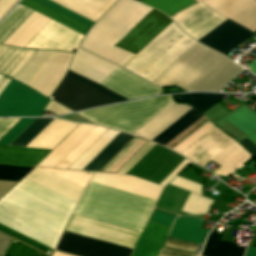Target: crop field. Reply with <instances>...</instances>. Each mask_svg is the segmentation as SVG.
<instances>
[{
	"instance_id": "42",
	"label": "crop field",
	"mask_w": 256,
	"mask_h": 256,
	"mask_svg": "<svg viewBox=\"0 0 256 256\" xmlns=\"http://www.w3.org/2000/svg\"><path fill=\"white\" fill-rule=\"evenodd\" d=\"M5 256H47V255L13 239Z\"/></svg>"
},
{
	"instance_id": "11",
	"label": "crop field",
	"mask_w": 256,
	"mask_h": 256,
	"mask_svg": "<svg viewBox=\"0 0 256 256\" xmlns=\"http://www.w3.org/2000/svg\"><path fill=\"white\" fill-rule=\"evenodd\" d=\"M83 35L49 20L24 48L74 51Z\"/></svg>"
},
{
	"instance_id": "48",
	"label": "crop field",
	"mask_w": 256,
	"mask_h": 256,
	"mask_svg": "<svg viewBox=\"0 0 256 256\" xmlns=\"http://www.w3.org/2000/svg\"><path fill=\"white\" fill-rule=\"evenodd\" d=\"M170 185L180 187V188H183V189H186V190H189V191H192V192H195V193L201 195V193H200L201 187H202L201 185L187 181L178 176L170 183Z\"/></svg>"
},
{
	"instance_id": "41",
	"label": "crop field",
	"mask_w": 256,
	"mask_h": 256,
	"mask_svg": "<svg viewBox=\"0 0 256 256\" xmlns=\"http://www.w3.org/2000/svg\"><path fill=\"white\" fill-rule=\"evenodd\" d=\"M33 168L0 165V179L19 181Z\"/></svg>"
},
{
	"instance_id": "2",
	"label": "crop field",
	"mask_w": 256,
	"mask_h": 256,
	"mask_svg": "<svg viewBox=\"0 0 256 256\" xmlns=\"http://www.w3.org/2000/svg\"><path fill=\"white\" fill-rule=\"evenodd\" d=\"M75 205L24 178L0 200V224L53 249Z\"/></svg>"
},
{
	"instance_id": "30",
	"label": "crop field",
	"mask_w": 256,
	"mask_h": 256,
	"mask_svg": "<svg viewBox=\"0 0 256 256\" xmlns=\"http://www.w3.org/2000/svg\"><path fill=\"white\" fill-rule=\"evenodd\" d=\"M202 116L199 111L193 108L152 141L164 146Z\"/></svg>"
},
{
	"instance_id": "8",
	"label": "crop field",
	"mask_w": 256,
	"mask_h": 256,
	"mask_svg": "<svg viewBox=\"0 0 256 256\" xmlns=\"http://www.w3.org/2000/svg\"><path fill=\"white\" fill-rule=\"evenodd\" d=\"M27 87L10 80L0 94V116L40 115L49 99Z\"/></svg>"
},
{
	"instance_id": "51",
	"label": "crop field",
	"mask_w": 256,
	"mask_h": 256,
	"mask_svg": "<svg viewBox=\"0 0 256 256\" xmlns=\"http://www.w3.org/2000/svg\"><path fill=\"white\" fill-rule=\"evenodd\" d=\"M46 110L55 112L56 115L70 112L66 108L56 104L55 102H53L51 100H50L49 104L47 105Z\"/></svg>"
},
{
	"instance_id": "17",
	"label": "crop field",
	"mask_w": 256,
	"mask_h": 256,
	"mask_svg": "<svg viewBox=\"0 0 256 256\" xmlns=\"http://www.w3.org/2000/svg\"><path fill=\"white\" fill-rule=\"evenodd\" d=\"M203 3L251 31L256 30V0H206Z\"/></svg>"
},
{
	"instance_id": "22",
	"label": "crop field",
	"mask_w": 256,
	"mask_h": 256,
	"mask_svg": "<svg viewBox=\"0 0 256 256\" xmlns=\"http://www.w3.org/2000/svg\"><path fill=\"white\" fill-rule=\"evenodd\" d=\"M94 127L80 124L37 166L54 168Z\"/></svg>"
},
{
	"instance_id": "7",
	"label": "crop field",
	"mask_w": 256,
	"mask_h": 256,
	"mask_svg": "<svg viewBox=\"0 0 256 256\" xmlns=\"http://www.w3.org/2000/svg\"><path fill=\"white\" fill-rule=\"evenodd\" d=\"M99 85L68 71L52 100L73 111L126 100Z\"/></svg>"
},
{
	"instance_id": "49",
	"label": "crop field",
	"mask_w": 256,
	"mask_h": 256,
	"mask_svg": "<svg viewBox=\"0 0 256 256\" xmlns=\"http://www.w3.org/2000/svg\"><path fill=\"white\" fill-rule=\"evenodd\" d=\"M189 163L192 162L184 159L160 184L165 185L168 183L181 169H183Z\"/></svg>"
},
{
	"instance_id": "43",
	"label": "crop field",
	"mask_w": 256,
	"mask_h": 256,
	"mask_svg": "<svg viewBox=\"0 0 256 256\" xmlns=\"http://www.w3.org/2000/svg\"><path fill=\"white\" fill-rule=\"evenodd\" d=\"M36 118H22L1 139L0 144L9 145L22 131H24Z\"/></svg>"
},
{
	"instance_id": "35",
	"label": "crop field",
	"mask_w": 256,
	"mask_h": 256,
	"mask_svg": "<svg viewBox=\"0 0 256 256\" xmlns=\"http://www.w3.org/2000/svg\"><path fill=\"white\" fill-rule=\"evenodd\" d=\"M224 97L225 95L222 94L191 93L180 95L176 99L182 102L193 100L187 104L195 107L202 113L214 104H216L217 102L221 101Z\"/></svg>"
},
{
	"instance_id": "54",
	"label": "crop field",
	"mask_w": 256,
	"mask_h": 256,
	"mask_svg": "<svg viewBox=\"0 0 256 256\" xmlns=\"http://www.w3.org/2000/svg\"><path fill=\"white\" fill-rule=\"evenodd\" d=\"M52 256H69V255H65V254H61L58 252H54Z\"/></svg>"
},
{
	"instance_id": "16",
	"label": "crop field",
	"mask_w": 256,
	"mask_h": 256,
	"mask_svg": "<svg viewBox=\"0 0 256 256\" xmlns=\"http://www.w3.org/2000/svg\"><path fill=\"white\" fill-rule=\"evenodd\" d=\"M252 35L254 34L251 31L228 19L201 38L199 42L225 55Z\"/></svg>"
},
{
	"instance_id": "57",
	"label": "crop field",
	"mask_w": 256,
	"mask_h": 256,
	"mask_svg": "<svg viewBox=\"0 0 256 256\" xmlns=\"http://www.w3.org/2000/svg\"><path fill=\"white\" fill-rule=\"evenodd\" d=\"M235 177H237V176H235ZM237 178H239V177H237ZM239 179H241V178H239Z\"/></svg>"
},
{
	"instance_id": "33",
	"label": "crop field",
	"mask_w": 256,
	"mask_h": 256,
	"mask_svg": "<svg viewBox=\"0 0 256 256\" xmlns=\"http://www.w3.org/2000/svg\"><path fill=\"white\" fill-rule=\"evenodd\" d=\"M20 4L27 6L33 10H36V11H38V12L64 24V25L84 34V35L86 34V32L88 30V27H86V26H84V25H82V24L34 1V0H22L20 2Z\"/></svg>"
},
{
	"instance_id": "26",
	"label": "crop field",
	"mask_w": 256,
	"mask_h": 256,
	"mask_svg": "<svg viewBox=\"0 0 256 256\" xmlns=\"http://www.w3.org/2000/svg\"><path fill=\"white\" fill-rule=\"evenodd\" d=\"M202 220L191 217L176 218L169 238L201 244L207 230L199 228Z\"/></svg>"
},
{
	"instance_id": "25",
	"label": "crop field",
	"mask_w": 256,
	"mask_h": 256,
	"mask_svg": "<svg viewBox=\"0 0 256 256\" xmlns=\"http://www.w3.org/2000/svg\"><path fill=\"white\" fill-rule=\"evenodd\" d=\"M78 124L54 119L26 147L52 149Z\"/></svg>"
},
{
	"instance_id": "36",
	"label": "crop field",
	"mask_w": 256,
	"mask_h": 256,
	"mask_svg": "<svg viewBox=\"0 0 256 256\" xmlns=\"http://www.w3.org/2000/svg\"><path fill=\"white\" fill-rule=\"evenodd\" d=\"M141 3L153 7L170 17L195 3L194 0H142Z\"/></svg>"
},
{
	"instance_id": "12",
	"label": "crop field",
	"mask_w": 256,
	"mask_h": 256,
	"mask_svg": "<svg viewBox=\"0 0 256 256\" xmlns=\"http://www.w3.org/2000/svg\"><path fill=\"white\" fill-rule=\"evenodd\" d=\"M172 19L184 32L198 40L226 18L200 2L172 16Z\"/></svg>"
},
{
	"instance_id": "37",
	"label": "crop field",
	"mask_w": 256,
	"mask_h": 256,
	"mask_svg": "<svg viewBox=\"0 0 256 256\" xmlns=\"http://www.w3.org/2000/svg\"><path fill=\"white\" fill-rule=\"evenodd\" d=\"M53 118H37L10 145L26 146L39 132H41Z\"/></svg>"
},
{
	"instance_id": "50",
	"label": "crop field",
	"mask_w": 256,
	"mask_h": 256,
	"mask_svg": "<svg viewBox=\"0 0 256 256\" xmlns=\"http://www.w3.org/2000/svg\"><path fill=\"white\" fill-rule=\"evenodd\" d=\"M18 0H0V20Z\"/></svg>"
},
{
	"instance_id": "5",
	"label": "crop field",
	"mask_w": 256,
	"mask_h": 256,
	"mask_svg": "<svg viewBox=\"0 0 256 256\" xmlns=\"http://www.w3.org/2000/svg\"><path fill=\"white\" fill-rule=\"evenodd\" d=\"M174 101L172 96L137 100L78 113L97 125L133 134Z\"/></svg>"
},
{
	"instance_id": "21",
	"label": "crop field",
	"mask_w": 256,
	"mask_h": 256,
	"mask_svg": "<svg viewBox=\"0 0 256 256\" xmlns=\"http://www.w3.org/2000/svg\"><path fill=\"white\" fill-rule=\"evenodd\" d=\"M50 151L0 145V164L35 167Z\"/></svg>"
},
{
	"instance_id": "20",
	"label": "crop field",
	"mask_w": 256,
	"mask_h": 256,
	"mask_svg": "<svg viewBox=\"0 0 256 256\" xmlns=\"http://www.w3.org/2000/svg\"><path fill=\"white\" fill-rule=\"evenodd\" d=\"M189 109H191V107L174 102L140 130L134 133V135L151 140Z\"/></svg>"
},
{
	"instance_id": "40",
	"label": "crop field",
	"mask_w": 256,
	"mask_h": 256,
	"mask_svg": "<svg viewBox=\"0 0 256 256\" xmlns=\"http://www.w3.org/2000/svg\"><path fill=\"white\" fill-rule=\"evenodd\" d=\"M214 127L215 126L208 121L203 126H201L198 130H196L193 134H191L189 137H187L184 141H182L179 145H177L175 148H173L172 150L181 154L189 146H191L193 143H195L198 139H200L202 136H204L207 132H209Z\"/></svg>"
},
{
	"instance_id": "23",
	"label": "crop field",
	"mask_w": 256,
	"mask_h": 256,
	"mask_svg": "<svg viewBox=\"0 0 256 256\" xmlns=\"http://www.w3.org/2000/svg\"><path fill=\"white\" fill-rule=\"evenodd\" d=\"M64 8L92 21L98 19L116 0H51Z\"/></svg>"
},
{
	"instance_id": "56",
	"label": "crop field",
	"mask_w": 256,
	"mask_h": 256,
	"mask_svg": "<svg viewBox=\"0 0 256 256\" xmlns=\"http://www.w3.org/2000/svg\"><path fill=\"white\" fill-rule=\"evenodd\" d=\"M2 75H0V79H1Z\"/></svg>"
},
{
	"instance_id": "15",
	"label": "crop field",
	"mask_w": 256,
	"mask_h": 256,
	"mask_svg": "<svg viewBox=\"0 0 256 256\" xmlns=\"http://www.w3.org/2000/svg\"><path fill=\"white\" fill-rule=\"evenodd\" d=\"M74 54L55 52L47 61L42 69L30 81L28 86L32 87L42 95L49 98V95L55 89L63 75L65 74L68 65Z\"/></svg>"
},
{
	"instance_id": "39",
	"label": "crop field",
	"mask_w": 256,
	"mask_h": 256,
	"mask_svg": "<svg viewBox=\"0 0 256 256\" xmlns=\"http://www.w3.org/2000/svg\"><path fill=\"white\" fill-rule=\"evenodd\" d=\"M43 169L61 177V178H64L82 188L85 187L90 176L93 174V173H88V172L67 171V170H60V169H48V168H43Z\"/></svg>"
},
{
	"instance_id": "18",
	"label": "crop field",
	"mask_w": 256,
	"mask_h": 256,
	"mask_svg": "<svg viewBox=\"0 0 256 256\" xmlns=\"http://www.w3.org/2000/svg\"><path fill=\"white\" fill-rule=\"evenodd\" d=\"M116 68L117 66L78 48L69 69L99 84Z\"/></svg>"
},
{
	"instance_id": "32",
	"label": "crop field",
	"mask_w": 256,
	"mask_h": 256,
	"mask_svg": "<svg viewBox=\"0 0 256 256\" xmlns=\"http://www.w3.org/2000/svg\"><path fill=\"white\" fill-rule=\"evenodd\" d=\"M53 53V51L37 50L29 61L22 67V69L16 74L14 79L27 85V83L33 78V76L39 71V69L45 64Z\"/></svg>"
},
{
	"instance_id": "47",
	"label": "crop field",
	"mask_w": 256,
	"mask_h": 256,
	"mask_svg": "<svg viewBox=\"0 0 256 256\" xmlns=\"http://www.w3.org/2000/svg\"><path fill=\"white\" fill-rule=\"evenodd\" d=\"M175 217L176 216L154 209L149 220L171 227Z\"/></svg>"
},
{
	"instance_id": "52",
	"label": "crop field",
	"mask_w": 256,
	"mask_h": 256,
	"mask_svg": "<svg viewBox=\"0 0 256 256\" xmlns=\"http://www.w3.org/2000/svg\"><path fill=\"white\" fill-rule=\"evenodd\" d=\"M239 144L250 153L256 160V147L250 143L246 138L239 142Z\"/></svg>"
},
{
	"instance_id": "6",
	"label": "crop field",
	"mask_w": 256,
	"mask_h": 256,
	"mask_svg": "<svg viewBox=\"0 0 256 256\" xmlns=\"http://www.w3.org/2000/svg\"><path fill=\"white\" fill-rule=\"evenodd\" d=\"M181 155L204 167L211 160L220 166L214 173L226 177L252 157L235 140L216 127Z\"/></svg>"
},
{
	"instance_id": "38",
	"label": "crop field",
	"mask_w": 256,
	"mask_h": 256,
	"mask_svg": "<svg viewBox=\"0 0 256 256\" xmlns=\"http://www.w3.org/2000/svg\"><path fill=\"white\" fill-rule=\"evenodd\" d=\"M211 203L212 200H209L191 192L182 209V212L191 215L206 214Z\"/></svg>"
},
{
	"instance_id": "3",
	"label": "crop field",
	"mask_w": 256,
	"mask_h": 256,
	"mask_svg": "<svg viewBox=\"0 0 256 256\" xmlns=\"http://www.w3.org/2000/svg\"><path fill=\"white\" fill-rule=\"evenodd\" d=\"M151 10L133 0H118L91 28L79 47L122 67L134 55L113 46Z\"/></svg>"
},
{
	"instance_id": "10",
	"label": "crop field",
	"mask_w": 256,
	"mask_h": 256,
	"mask_svg": "<svg viewBox=\"0 0 256 256\" xmlns=\"http://www.w3.org/2000/svg\"><path fill=\"white\" fill-rule=\"evenodd\" d=\"M57 251L76 256H130L132 249L64 231Z\"/></svg>"
},
{
	"instance_id": "9",
	"label": "crop field",
	"mask_w": 256,
	"mask_h": 256,
	"mask_svg": "<svg viewBox=\"0 0 256 256\" xmlns=\"http://www.w3.org/2000/svg\"><path fill=\"white\" fill-rule=\"evenodd\" d=\"M65 230L132 249L140 235V232L74 214L72 215Z\"/></svg>"
},
{
	"instance_id": "55",
	"label": "crop field",
	"mask_w": 256,
	"mask_h": 256,
	"mask_svg": "<svg viewBox=\"0 0 256 256\" xmlns=\"http://www.w3.org/2000/svg\"><path fill=\"white\" fill-rule=\"evenodd\" d=\"M136 1L140 2L141 0H136Z\"/></svg>"
},
{
	"instance_id": "1",
	"label": "crop field",
	"mask_w": 256,
	"mask_h": 256,
	"mask_svg": "<svg viewBox=\"0 0 256 256\" xmlns=\"http://www.w3.org/2000/svg\"><path fill=\"white\" fill-rule=\"evenodd\" d=\"M91 181L155 201L162 189L133 176L95 173ZM91 181L73 213L141 232L155 201Z\"/></svg>"
},
{
	"instance_id": "13",
	"label": "crop field",
	"mask_w": 256,
	"mask_h": 256,
	"mask_svg": "<svg viewBox=\"0 0 256 256\" xmlns=\"http://www.w3.org/2000/svg\"><path fill=\"white\" fill-rule=\"evenodd\" d=\"M167 16L152 10L115 46L136 55L161 30L172 21Z\"/></svg>"
},
{
	"instance_id": "4",
	"label": "crop field",
	"mask_w": 256,
	"mask_h": 256,
	"mask_svg": "<svg viewBox=\"0 0 256 256\" xmlns=\"http://www.w3.org/2000/svg\"><path fill=\"white\" fill-rule=\"evenodd\" d=\"M195 42L172 22L122 68L152 83Z\"/></svg>"
},
{
	"instance_id": "14",
	"label": "crop field",
	"mask_w": 256,
	"mask_h": 256,
	"mask_svg": "<svg viewBox=\"0 0 256 256\" xmlns=\"http://www.w3.org/2000/svg\"><path fill=\"white\" fill-rule=\"evenodd\" d=\"M100 85L128 100L157 95L161 91L119 67Z\"/></svg>"
},
{
	"instance_id": "34",
	"label": "crop field",
	"mask_w": 256,
	"mask_h": 256,
	"mask_svg": "<svg viewBox=\"0 0 256 256\" xmlns=\"http://www.w3.org/2000/svg\"><path fill=\"white\" fill-rule=\"evenodd\" d=\"M107 129L95 127L55 168L67 169Z\"/></svg>"
},
{
	"instance_id": "27",
	"label": "crop field",
	"mask_w": 256,
	"mask_h": 256,
	"mask_svg": "<svg viewBox=\"0 0 256 256\" xmlns=\"http://www.w3.org/2000/svg\"><path fill=\"white\" fill-rule=\"evenodd\" d=\"M48 20L34 11L3 44L23 48Z\"/></svg>"
},
{
	"instance_id": "53",
	"label": "crop field",
	"mask_w": 256,
	"mask_h": 256,
	"mask_svg": "<svg viewBox=\"0 0 256 256\" xmlns=\"http://www.w3.org/2000/svg\"><path fill=\"white\" fill-rule=\"evenodd\" d=\"M246 256H256V249L250 247Z\"/></svg>"
},
{
	"instance_id": "29",
	"label": "crop field",
	"mask_w": 256,
	"mask_h": 256,
	"mask_svg": "<svg viewBox=\"0 0 256 256\" xmlns=\"http://www.w3.org/2000/svg\"><path fill=\"white\" fill-rule=\"evenodd\" d=\"M219 232L212 230L201 256H243L246 248L233 243L217 241Z\"/></svg>"
},
{
	"instance_id": "44",
	"label": "crop field",
	"mask_w": 256,
	"mask_h": 256,
	"mask_svg": "<svg viewBox=\"0 0 256 256\" xmlns=\"http://www.w3.org/2000/svg\"><path fill=\"white\" fill-rule=\"evenodd\" d=\"M0 231L4 232V233L20 240V241H22V242H24V243H26L30 246H33V247H35V248H37V249H39V250H41V251H43V252H45L49 255L52 254V251H53L52 249H50V248L32 240V239H29V238H27V237L15 232V231L9 229L7 227H4V226L0 225Z\"/></svg>"
},
{
	"instance_id": "28",
	"label": "crop field",
	"mask_w": 256,
	"mask_h": 256,
	"mask_svg": "<svg viewBox=\"0 0 256 256\" xmlns=\"http://www.w3.org/2000/svg\"><path fill=\"white\" fill-rule=\"evenodd\" d=\"M133 136L120 133L102 152H100L83 170L98 172L115 154H117Z\"/></svg>"
},
{
	"instance_id": "45",
	"label": "crop field",
	"mask_w": 256,
	"mask_h": 256,
	"mask_svg": "<svg viewBox=\"0 0 256 256\" xmlns=\"http://www.w3.org/2000/svg\"><path fill=\"white\" fill-rule=\"evenodd\" d=\"M36 1H38V2L56 10V11L64 14V15L70 17V18H72V19H74V20H76V21H78V22H80V23H82V24H84L88 27H91L94 24V23H92V22H90V21H88V20H86V19H84V18H82V17L64 9V8H62L61 6L51 2L49 0H36Z\"/></svg>"
},
{
	"instance_id": "46",
	"label": "crop field",
	"mask_w": 256,
	"mask_h": 256,
	"mask_svg": "<svg viewBox=\"0 0 256 256\" xmlns=\"http://www.w3.org/2000/svg\"><path fill=\"white\" fill-rule=\"evenodd\" d=\"M153 145L148 141L117 173L125 174Z\"/></svg>"
},
{
	"instance_id": "31",
	"label": "crop field",
	"mask_w": 256,
	"mask_h": 256,
	"mask_svg": "<svg viewBox=\"0 0 256 256\" xmlns=\"http://www.w3.org/2000/svg\"><path fill=\"white\" fill-rule=\"evenodd\" d=\"M119 132L108 129L88 150H86L68 169L82 170L100 151H102Z\"/></svg>"
},
{
	"instance_id": "19",
	"label": "crop field",
	"mask_w": 256,
	"mask_h": 256,
	"mask_svg": "<svg viewBox=\"0 0 256 256\" xmlns=\"http://www.w3.org/2000/svg\"><path fill=\"white\" fill-rule=\"evenodd\" d=\"M26 178L74 201L77 202L82 188L67 182L41 168H35Z\"/></svg>"
},
{
	"instance_id": "24",
	"label": "crop field",
	"mask_w": 256,
	"mask_h": 256,
	"mask_svg": "<svg viewBox=\"0 0 256 256\" xmlns=\"http://www.w3.org/2000/svg\"><path fill=\"white\" fill-rule=\"evenodd\" d=\"M169 227L148 222L132 256H156Z\"/></svg>"
}]
</instances>
